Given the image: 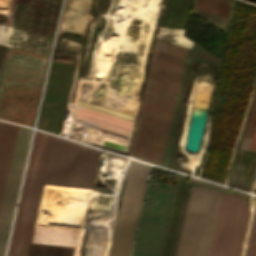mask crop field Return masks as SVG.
<instances>
[{
  "label": "crop field",
  "mask_w": 256,
  "mask_h": 256,
  "mask_svg": "<svg viewBox=\"0 0 256 256\" xmlns=\"http://www.w3.org/2000/svg\"><path fill=\"white\" fill-rule=\"evenodd\" d=\"M149 165L130 163L109 256H129Z\"/></svg>",
  "instance_id": "e52e79f7"
},
{
  "label": "crop field",
  "mask_w": 256,
  "mask_h": 256,
  "mask_svg": "<svg viewBox=\"0 0 256 256\" xmlns=\"http://www.w3.org/2000/svg\"><path fill=\"white\" fill-rule=\"evenodd\" d=\"M222 191L192 187L175 256H208ZM250 211L245 199L223 194L209 256H240Z\"/></svg>",
  "instance_id": "ac0d7876"
},
{
  "label": "crop field",
  "mask_w": 256,
  "mask_h": 256,
  "mask_svg": "<svg viewBox=\"0 0 256 256\" xmlns=\"http://www.w3.org/2000/svg\"><path fill=\"white\" fill-rule=\"evenodd\" d=\"M17 125L0 121V201L9 167ZM32 130L18 128L10 167L0 205V256L4 255L15 202Z\"/></svg>",
  "instance_id": "412701ff"
},
{
  "label": "crop field",
  "mask_w": 256,
  "mask_h": 256,
  "mask_svg": "<svg viewBox=\"0 0 256 256\" xmlns=\"http://www.w3.org/2000/svg\"><path fill=\"white\" fill-rule=\"evenodd\" d=\"M99 152L54 136L43 183L91 188Z\"/></svg>",
  "instance_id": "dd49c442"
},
{
  "label": "crop field",
  "mask_w": 256,
  "mask_h": 256,
  "mask_svg": "<svg viewBox=\"0 0 256 256\" xmlns=\"http://www.w3.org/2000/svg\"><path fill=\"white\" fill-rule=\"evenodd\" d=\"M47 58L14 50L0 107V118L32 125Z\"/></svg>",
  "instance_id": "34b2d1b8"
},
{
  "label": "crop field",
  "mask_w": 256,
  "mask_h": 256,
  "mask_svg": "<svg viewBox=\"0 0 256 256\" xmlns=\"http://www.w3.org/2000/svg\"><path fill=\"white\" fill-rule=\"evenodd\" d=\"M52 138V135L38 131L34 134L7 253L21 255L26 253ZM11 254L7 256H21Z\"/></svg>",
  "instance_id": "f4fd0767"
},
{
  "label": "crop field",
  "mask_w": 256,
  "mask_h": 256,
  "mask_svg": "<svg viewBox=\"0 0 256 256\" xmlns=\"http://www.w3.org/2000/svg\"><path fill=\"white\" fill-rule=\"evenodd\" d=\"M227 2V0H220L219 4V0H199L197 7L216 14L219 4L217 14L224 16Z\"/></svg>",
  "instance_id": "5a996713"
},
{
  "label": "crop field",
  "mask_w": 256,
  "mask_h": 256,
  "mask_svg": "<svg viewBox=\"0 0 256 256\" xmlns=\"http://www.w3.org/2000/svg\"><path fill=\"white\" fill-rule=\"evenodd\" d=\"M245 256H256V211Z\"/></svg>",
  "instance_id": "3316defc"
},
{
  "label": "crop field",
  "mask_w": 256,
  "mask_h": 256,
  "mask_svg": "<svg viewBox=\"0 0 256 256\" xmlns=\"http://www.w3.org/2000/svg\"><path fill=\"white\" fill-rule=\"evenodd\" d=\"M255 123H256V100L254 101V105H253V108H252V112H251V115H250V119H249V122H248V126H247V129H246V133H245L244 140H243L241 148L249 149L251 139H252V135H253V131H254V127H255ZM250 149L256 150V128H255V132H254V136H253V140H252V144H251Z\"/></svg>",
  "instance_id": "d8731c3e"
},
{
  "label": "crop field",
  "mask_w": 256,
  "mask_h": 256,
  "mask_svg": "<svg viewBox=\"0 0 256 256\" xmlns=\"http://www.w3.org/2000/svg\"><path fill=\"white\" fill-rule=\"evenodd\" d=\"M187 52L156 39L130 157L160 166L164 161Z\"/></svg>",
  "instance_id": "8a807250"
}]
</instances>
